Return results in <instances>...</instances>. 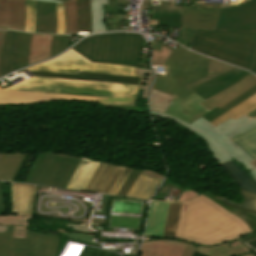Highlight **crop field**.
I'll use <instances>...</instances> for the list:
<instances>
[{"label": "crop field", "instance_id": "1", "mask_svg": "<svg viewBox=\"0 0 256 256\" xmlns=\"http://www.w3.org/2000/svg\"><path fill=\"white\" fill-rule=\"evenodd\" d=\"M28 69L35 76L0 88V105L54 100L94 101L110 108L134 105L142 81L137 68L92 63L72 49Z\"/></svg>", "mask_w": 256, "mask_h": 256}, {"label": "crop field", "instance_id": "2", "mask_svg": "<svg viewBox=\"0 0 256 256\" xmlns=\"http://www.w3.org/2000/svg\"><path fill=\"white\" fill-rule=\"evenodd\" d=\"M219 9L215 31L196 30L189 48L250 70L256 52V0H229Z\"/></svg>", "mask_w": 256, "mask_h": 256}, {"label": "crop field", "instance_id": "3", "mask_svg": "<svg viewBox=\"0 0 256 256\" xmlns=\"http://www.w3.org/2000/svg\"><path fill=\"white\" fill-rule=\"evenodd\" d=\"M233 68L179 46L164 65L166 76H157L153 88L174 95L166 113L191 124L209 111L190 89Z\"/></svg>", "mask_w": 256, "mask_h": 256}, {"label": "crop field", "instance_id": "4", "mask_svg": "<svg viewBox=\"0 0 256 256\" xmlns=\"http://www.w3.org/2000/svg\"><path fill=\"white\" fill-rule=\"evenodd\" d=\"M251 232L239 218L200 195L184 202L176 239L214 246Z\"/></svg>", "mask_w": 256, "mask_h": 256}, {"label": "crop field", "instance_id": "5", "mask_svg": "<svg viewBox=\"0 0 256 256\" xmlns=\"http://www.w3.org/2000/svg\"><path fill=\"white\" fill-rule=\"evenodd\" d=\"M152 115L166 117L181 126L189 129L207 144V147L218 163H223L234 159L240 162L247 169H252L249 162L253 160L247 153L239 147H234L229 139L239 133H244L256 126V118L251 120L247 116H242L237 120H228L225 123L215 127L202 117L193 124L189 125L170 115L161 114L152 111Z\"/></svg>", "mask_w": 256, "mask_h": 256}, {"label": "crop field", "instance_id": "6", "mask_svg": "<svg viewBox=\"0 0 256 256\" xmlns=\"http://www.w3.org/2000/svg\"><path fill=\"white\" fill-rule=\"evenodd\" d=\"M141 44L140 34L114 33L87 37L73 49L92 62L137 67Z\"/></svg>", "mask_w": 256, "mask_h": 256}, {"label": "crop field", "instance_id": "7", "mask_svg": "<svg viewBox=\"0 0 256 256\" xmlns=\"http://www.w3.org/2000/svg\"><path fill=\"white\" fill-rule=\"evenodd\" d=\"M82 157L43 152L39 155L26 182L66 188Z\"/></svg>", "mask_w": 256, "mask_h": 256}, {"label": "crop field", "instance_id": "8", "mask_svg": "<svg viewBox=\"0 0 256 256\" xmlns=\"http://www.w3.org/2000/svg\"><path fill=\"white\" fill-rule=\"evenodd\" d=\"M59 240L27 230V239H14V256H57Z\"/></svg>", "mask_w": 256, "mask_h": 256}, {"label": "crop field", "instance_id": "9", "mask_svg": "<svg viewBox=\"0 0 256 256\" xmlns=\"http://www.w3.org/2000/svg\"><path fill=\"white\" fill-rule=\"evenodd\" d=\"M102 5H107V0H78L79 31H110V28H105Z\"/></svg>", "mask_w": 256, "mask_h": 256}, {"label": "crop field", "instance_id": "10", "mask_svg": "<svg viewBox=\"0 0 256 256\" xmlns=\"http://www.w3.org/2000/svg\"><path fill=\"white\" fill-rule=\"evenodd\" d=\"M205 2H193V6L183 8V27L190 29L214 30L218 16V8L222 4H213V9H198V5Z\"/></svg>", "mask_w": 256, "mask_h": 256}, {"label": "crop field", "instance_id": "11", "mask_svg": "<svg viewBox=\"0 0 256 256\" xmlns=\"http://www.w3.org/2000/svg\"><path fill=\"white\" fill-rule=\"evenodd\" d=\"M25 0H0V28L24 31Z\"/></svg>", "mask_w": 256, "mask_h": 256}, {"label": "crop field", "instance_id": "12", "mask_svg": "<svg viewBox=\"0 0 256 256\" xmlns=\"http://www.w3.org/2000/svg\"><path fill=\"white\" fill-rule=\"evenodd\" d=\"M222 74L213 80H210L194 89H192L196 94L202 97L204 100L219 93L220 91L232 86L233 84L237 83L245 76H247L248 72L240 70L238 68Z\"/></svg>", "mask_w": 256, "mask_h": 256}, {"label": "crop field", "instance_id": "13", "mask_svg": "<svg viewBox=\"0 0 256 256\" xmlns=\"http://www.w3.org/2000/svg\"><path fill=\"white\" fill-rule=\"evenodd\" d=\"M196 252L207 256H254L247 246L241 244L238 240L215 247H196L189 244L184 256H194Z\"/></svg>", "mask_w": 256, "mask_h": 256}, {"label": "crop field", "instance_id": "14", "mask_svg": "<svg viewBox=\"0 0 256 256\" xmlns=\"http://www.w3.org/2000/svg\"><path fill=\"white\" fill-rule=\"evenodd\" d=\"M182 7L174 6V0L161 1L160 9L152 8V0L145 1L141 9H153L152 19L158 20L159 26L182 27Z\"/></svg>", "mask_w": 256, "mask_h": 256}, {"label": "crop field", "instance_id": "15", "mask_svg": "<svg viewBox=\"0 0 256 256\" xmlns=\"http://www.w3.org/2000/svg\"><path fill=\"white\" fill-rule=\"evenodd\" d=\"M256 76L250 74L237 84L233 85L229 89L205 100L204 102L200 103L204 107H206L208 110H212L216 106L223 107L239 95H241L243 92L251 88L256 84Z\"/></svg>", "mask_w": 256, "mask_h": 256}, {"label": "crop field", "instance_id": "16", "mask_svg": "<svg viewBox=\"0 0 256 256\" xmlns=\"http://www.w3.org/2000/svg\"><path fill=\"white\" fill-rule=\"evenodd\" d=\"M187 245V243L168 240L144 242L140 256H183Z\"/></svg>", "mask_w": 256, "mask_h": 256}, {"label": "crop field", "instance_id": "17", "mask_svg": "<svg viewBox=\"0 0 256 256\" xmlns=\"http://www.w3.org/2000/svg\"><path fill=\"white\" fill-rule=\"evenodd\" d=\"M37 187L12 183L14 213L32 214Z\"/></svg>", "mask_w": 256, "mask_h": 256}, {"label": "crop field", "instance_id": "18", "mask_svg": "<svg viewBox=\"0 0 256 256\" xmlns=\"http://www.w3.org/2000/svg\"><path fill=\"white\" fill-rule=\"evenodd\" d=\"M35 32L56 34V3L37 1Z\"/></svg>", "mask_w": 256, "mask_h": 256}, {"label": "crop field", "instance_id": "19", "mask_svg": "<svg viewBox=\"0 0 256 256\" xmlns=\"http://www.w3.org/2000/svg\"><path fill=\"white\" fill-rule=\"evenodd\" d=\"M20 34L21 33L14 31L7 32L0 63V73L2 76L13 70L21 68L16 67V54Z\"/></svg>", "mask_w": 256, "mask_h": 256}, {"label": "crop field", "instance_id": "20", "mask_svg": "<svg viewBox=\"0 0 256 256\" xmlns=\"http://www.w3.org/2000/svg\"><path fill=\"white\" fill-rule=\"evenodd\" d=\"M169 202H152L145 236L162 237Z\"/></svg>", "mask_w": 256, "mask_h": 256}, {"label": "crop field", "instance_id": "21", "mask_svg": "<svg viewBox=\"0 0 256 256\" xmlns=\"http://www.w3.org/2000/svg\"><path fill=\"white\" fill-rule=\"evenodd\" d=\"M203 195L207 196L208 198L214 200L216 203L221 205L223 208H225L230 213L238 216L240 219H242L249 228L253 231L250 234H247L240 238L243 242L256 239V211L250 210V209H243L238 208L230 204H226L218 199L215 198L216 194L212 192H206Z\"/></svg>", "mask_w": 256, "mask_h": 256}, {"label": "crop field", "instance_id": "22", "mask_svg": "<svg viewBox=\"0 0 256 256\" xmlns=\"http://www.w3.org/2000/svg\"><path fill=\"white\" fill-rule=\"evenodd\" d=\"M52 36L53 35H32L28 65L51 57Z\"/></svg>", "mask_w": 256, "mask_h": 256}, {"label": "crop field", "instance_id": "23", "mask_svg": "<svg viewBox=\"0 0 256 256\" xmlns=\"http://www.w3.org/2000/svg\"><path fill=\"white\" fill-rule=\"evenodd\" d=\"M144 171L145 170L141 172V174L134 182L127 197L150 200L151 196L162 182L161 180L142 175Z\"/></svg>", "mask_w": 256, "mask_h": 256}, {"label": "crop field", "instance_id": "24", "mask_svg": "<svg viewBox=\"0 0 256 256\" xmlns=\"http://www.w3.org/2000/svg\"><path fill=\"white\" fill-rule=\"evenodd\" d=\"M117 166L100 162L84 190L101 193Z\"/></svg>", "mask_w": 256, "mask_h": 256}, {"label": "crop field", "instance_id": "25", "mask_svg": "<svg viewBox=\"0 0 256 256\" xmlns=\"http://www.w3.org/2000/svg\"><path fill=\"white\" fill-rule=\"evenodd\" d=\"M98 162L82 158L67 188L83 190Z\"/></svg>", "mask_w": 256, "mask_h": 256}, {"label": "crop field", "instance_id": "26", "mask_svg": "<svg viewBox=\"0 0 256 256\" xmlns=\"http://www.w3.org/2000/svg\"><path fill=\"white\" fill-rule=\"evenodd\" d=\"M26 153H1L0 152V180L11 181L16 169Z\"/></svg>", "mask_w": 256, "mask_h": 256}, {"label": "crop field", "instance_id": "27", "mask_svg": "<svg viewBox=\"0 0 256 256\" xmlns=\"http://www.w3.org/2000/svg\"><path fill=\"white\" fill-rule=\"evenodd\" d=\"M222 166L226 169V171L230 174V176L235 180L240 189L252 191L256 193V182L248 176L244 170H242L239 165L230 161L227 163H223Z\"/></svg>", "mask_w": 256, "mask_h": 256}, {"label": "crop field", "instance_id": "28", "mask_svg": "<svg viewBox=\"0 0 256 256\" xmlns=\"http://www.w3.org/2000/svg\"><path fill=\"white\" fill-rule=\"evenodd\" d=\"M32 215L13 214L0 216V225H8L14 228L13 238H26L27 219Z\"/></svg>", "mask_w": 256, "mask_h": 256}, {"label": "crop field", "instance_id": "29", "mask_svg": "<svg viewBox=\"0 0 256 256\" xmlns=\"http://www.w3.org/2000/svg\"><path fill=\"white\" fill-rule=\"evenodd\" d=\"M254 108H256V94L246 99L245 101H243L242 103H240L239 105H237L236 107L229 110L228 112L221 115L220 117H218L210 123L216 126L230 118L235 120Z\"/></svg>", "mask_w": 256, "mask_h": 256}, {"label": "crop field", "instance_id": "30", "mask_svg": "<svg viewBox=\"0 0 256 256\" xmlns=\"http://www.w3.org/2000/svg\"><path fill=\"white\" fill-rule=\"evenodd\" d=\"M230 140L247 152L253 159L256 158V127Z\"/></svg>", "mask_w": 256, "mask_h": 256}, {"label": "crop field", "instance_id": "31", "mask_svg": "<svg viewBox=\"0 0 256 256\" xmlns=\"http://www.w3.org/2000/svg\"><path fill=\"white\" fill-rule=\"evenodd\" d=\"M65 5L66 34L78 32V6L77 0H67Z\"/></svg>", "mask_w": 256, "mask_h": 256}, {"label": "crop field", "instance_id": "32", "mask_svg": "<svg viewBox=\"0 0 256 256\" xmlns=\"http://www.w3.org/2000/svg\"><path fill=\"white\" fill-rule=\"evenodd\" d=\"M181 205L182 203L170 202L168 217H167L163 237H166V238L175 237L179 216H180Z\"/></svg>", "mask_w": 256, "mask_h": 256}, {"label": "crop field", "instance_id": "33", "mask_svg": "<svg viewBox=\"0 0 256 256\" xmlns=\"http://www.w3.org/2000/svg\"><path fill=\"white\" fill-rule=\"evenodd\" d=\"M255 93H256V85L254 87H252L251 89H249L248 91H246L245 93H243L241 96H239L235 100H233L232 102H230L229 104H227L226 106H224L223 108L219 109L216 107L214 110H212L210 113L204 115L203 117L210 122L213 119L220 116L221 114L228 111L229 109L233 108L234 106H236L237 104H239L240 102L245 100L246 98L254 95Z\"/></svg>", "mask_w": 256, "mask_h": 256}, {"label": "crop field", "instance_id": "34", "mask_svg": "<svg viewBox=\"0 0 256 256\" xmlns=\"http://www.w3.org/2000/svg\"><path fill=\"white\" fill-rule=\"evenodd\" d=\"M172 99L173 96L153 89L151 97L152 110L165 113Z\"/></svg>", "mask_w": 256, "mask_h": 256}, {"label": "crop field", "instance_id": "35", "mask_svg": "<svg viewBox=\"0 0 256 256\" xmlns=\"http://www.w3.org/2000/svg\"><path fill=\"white\" fill-rule=\"evenodd\" d=\"M32 34H25L22 33L19 48H18V54H17V66H27L28 63V49H29V43L31 39Z\"/></svg>", "mask_w": 256, "mask_h": 256}, {"label": "crop field", "instance_id": "36", "mask_svg": "<svg viewBox=\"0 0 256 256\" xmlns=\"http://www.w3.org/2000/svg\"><path fill=\"white\" fill-rule=\"evenodd\" d=\"M216 198H218L226 203L236 205L238 207H244V208H250V209L256 210V194L252 193V192L241 190L242 204L232 202V201L224 199L218 195Z\"/></svg>", "mask_w": 256, "mask_h": 256}, {"label": "crop field", "instance_id": "37", "mask_svg": "<svg viewBox=\"0 0 256 256\" xmlns=\"http://www.w3.org/2000/svg\"><path fill=\"white\" fill-rule=\"evenodd\" d=\"M12 228H7L6 233H0V256H13L12 250Z\"/></svg>", "mask_w": 256, "mask_h": 256}, {"label": "crop field", "instance_id": "38", "mask_svg": "<svg viewBox=\"0 0 256 256\" xmlns=\"http://www.w3.org/2000/svg\"><path fill=\"white\" fill-rule=\"evenodd\" d=\"M35 3L34 0H26V32H34L35 29Z\"/></svg>", "mask_w": 256, "mask_h": 256}, {"label": "crop field", "instance_id": "39", "mask_svg": "<svg viewBox=\"0 0 256 256\" xmlns=\"http://www.w3.org/2000/svg\"><path fill=\"white\" fill-rule=\"evenodd\" d=\"M69 47V36L54 35L52 41V57Z\"/></svg>", "mask_w": 256, "mask_h": 256}, {"label": "crop field", "instance_id": "40", "mask_svg": "<svg viewBox=\"0 0 256 256\" xmlns=\"http://www.w3.org/2000/svg\"><path fill=\"white\" fill-rule=\"evenodd\" d=\"M172 50L162 46L161 51H153L152 65L163 66Z\"/></svg>", "mask_w": 256, "mask_h": 256}, {"label": "crop field", "instance_id": "41", "mask_svg": "<svg viewBox=\"0 0 256 256\" xmlns=\"http://www.w3.org/2000/svg\"><path fill=\"white\" fill-rule=\"evenodd\" d=\"M141 171L142 170H136V169L132 170V172L130 173L129 177L127 178V180L125 181L124 185L122 186V188L120 189V191L118 192L117 195L126 197V195L129 192L134 180L136 179V177L139 175V173Z\"/></svg>", "mask_w": 256, "mask_h": 256}, {"label": "crop field", "instance_id": "42", "mask_svg": "<svg viewBox=\"0 0 256 256\" xmlns=\"http://www.w3.org/2000/svg\"><path fill=\"white\" fill-rule=\"evenodd\" d=\"M194 31L195 30L183 29L182 34L178 35L175 41L186 47H189Z\"/></svg>", "mask_w": 256, "mask_h": 256}, {"label": "crop field", "instance_id": "43", "mask_svg": "<svg viewBox=\"0 0 256 256\" xmlns=\"http://www.w3.org/2000/svg\"><path fill=\"white\" fill-rule=\"evenodd\" d=\"M132 169H128L126 168L124 170V172L122 173V175L119 177V179L116 181V183L114 184L110 194L112 195H116L117 192L119 191V189L121 188V186L123 185L124 181L126 180V178L128 177L129 173L131 172Z\"/></svg>", "mask_w": 256, "mask_h": 256}, {"label": "crop field", "instance_id": "44", "mask_svg": "<svg viewBox=\"0 0 256 256\" xmlns=\"http://www.w3.org/2000/svg\"><path fill=\"white\" fill-rule=\"evenodd\" d=\"M124 168L122 167H117L115 173L113 174L112 178L110 179L108 185L106 186V188L104 189L103 193L109 194L113 184L115 183V181L118 179V177L121 175L122 171Z\"/></svg>", "mask_w": 256, "mask_h": 256}, {"label": "crop field", "instance_id": "45", "mask_svg": "<svg viewBox=\"0 0 256 256\" xmlns=\"http://www.w3.org/2000/svg\"><path fill=\"white\" fill-rule=\"evenodd\" d=\"M57 21H65L64 6L60 3H57Z\"/></svg>", "mask_w": 256, "mask_h": 256}, {"label": "crop field", "instance_id": "46", "mask_svg": "<svg viewBox=\"0 0 256 256\" xmlns=\"http://www.w3.org/2000/svg\"><path fill=\"white\" fill-rule=\"evenodd\" d=\"M197 195H200V194L197 192H193V191H185L178 201H185V200L191 199Z\"/></svg>", "mask_w": 256, "mask_h": 256}, {"label": "crop field", "instance_id": "47", "mask_svg": "<svg viewBox=\"0 0 256 256\" xmlns=\"http://www.w3.org/2000/svg\"><path fill=\"white\" fill-rule=\"evenodd\" d=\"M116 108L125 110V111L148 113V111H143L140 109V107H136V106H125V107H116Z\"/></svg>", "mask_w": 256, "mask_h": 256}, {"label": "crop field", "instance_id": "48", "mask_svg": "<svg viewBox=\"0 0 256 256\" xmlns=\"http://www.w3.org/2000/svg\"><path fill=\"white\" fill-rule=\"evenodd\" d=\"M2 214H5V210H4L2 186H1V182H0V215H2Z\"/></svg>", "mask_w": 256, "mask_h": 256}, {"label": "crop field", "instance_id": "49", "mask_svg": "<svg viewBox=\"0 0 256 256\" xmlns=\"http://www.w3.org/2000/svg\"><path fill=\"white\" fill-rule=\"evenodd\" d=\"M57 34H65V22H57Z\"/></svg>", "mask_w": 256, "mask_h": 256}, {"label": "crop field", "instance_id": "50", "mask_svg": "<svg viewBox=\"0 0 256 256\" xmlns=\"http://www.w3.org/2000/svg\"><path fill=\"white\" fill-rule=\"evenodd\" d=\"M6 32L7 31H5V30H0V57H1V52H2V47H3ZM0 77H1V75H0Z\"/></svg>", "mask_w": 256, "mask_h": 256}, {"label": "crop field", "instance_id": "51", "mask_svg": "<svg viewBox=\"0 0 256 256\" xmlns=\"http://www.w3.org/2000/svg\"><path fill=\"white\" fill-rule=\"evenodd\" d=\"M144 175L154 177V178H158V179H162V180H164V178H165V176H162V175L157 174V173L149 172V171H145Z\"/></svg>", "mask_w": 256, "mask_h": 256}, {"label": "crop field", "instance_id": "52", "mask_svg": "<svg viewBox=\"0 0 256 256\" xmlns=\"http://www.w3.org/2000/svg\"><path fill=\"white\" fill-rule=\"evenodd\" d=\"M246 173L249 174L252 177V179H254L256 181V168H254Z\"/></svg>", "mask_w": 256, "mask_h": 256}, {"label": "crop field", "instance_id": "53", "mask_svg": "<svg viewBox=\"0 0 256 256\" xmlns=\"http://www.w3.org/2000/svg\"><path fill=\"white\" fill-rule=\"evenodd\" d=\"M247 115L248 117H250L251 119L256 117V109L250 111L249 113L245 114Z\"/></svg>", "mask_w": 256, "mask_h": 256}, {"label": "crop field", "instance_id": "54", "mask_svg": "<svg viewBox=\"0 0 256 256\" xmlns=\"http://www.w3.org/2000/svg\"><path fill=\"white\" fill-rule=\"evenodd\" d=\"M246 244H248L250 247H252L256 250V240L246 242Z\"/></svg>", "mask_w": 256, "mask_h": 256}, {"label": "crop field", "instance_id": "55", "mask_svg": "<svg viewBox=\"0 0 256 256\" xmlns=\"http://www.w3.org/2000/svg\"><path fill=\"white\" fill-rule=\"evenodd\" d=\"M28 154H29V153L26 154L25 158L28 156ZM25 158L23 159V161L25 160ZM23 161H22V163H23ZM22 163L20 164L19 168L17 169V171H16V173H15V175H14L12 181H14V179H15V177H16V175H17V173H18V171H19V169H20Z\"/></svg>", "mask_w": 256, "mask_h": 256}, {"label": "crop field", "instance_id": "56", "mask_svg": "<svg viewBox=\"0 0 256 256\" xmlns=\"http://www.w3.org/2000/svg\"><path fill=\"white\" fill-rule=\"evenodd\" d=\"M252 72L256 73V56H255V60H254V63H253V66H252Z\"/></svg>", "mask_w": 256, "mask_h": 256}, {"label": "crop field", "instance_id": "57", "mask_svg": "<svg viewBox=\"0 0 256 256\" xmlns=\"http://www.w3.org/2000/svg\"><path fill=\"white\" fill-rule=\"evenodd\" d=\"M6 228H7V226H0V232H5Z\"/></svg>", "mask_w": 256, "mask_h": 256}, {"label": "crop field", "instance_id": "58", "mask_svg": "<svg viewBox=\"0 0 256 256\" xmlns=\"http://www.w3.org/2000/svg\"><path fill=\"white\" fill-rule=\"evenodd\" d=\"M42 1H51V2H60V3H63V2L57 1V0H42Z\"/></svg>", "mask_w": 256, "mask_h": 256}, {"label": "crop field", "instance_id": "59", "mask_svg": "<svg viewBox=\"0 0 256 256\" xmlns=\"http://www.w3.org/2000/svg\"><path fill=\"white\" fill-rule=\"evenodd\" d=\"M152 239H155V238H152V237H145L144 240H152Z\"/></svg>", "mask_w": 256, "mask_h": 256}, {"label": "crop field", "instance_id": "60", "mask_svg": "<svg viewBox=\"0 0 256 256\" xmlns=\"http://www.w3.org/2000/svg\"><path fill=\"white\" fill-rule=\"evenodd\" d=\"M251 164H253L256 167V159L253 160L252 162H250Z\"/></svg>", "mask_w": 256, "mask_h": 256}, {"label": "crop field", "instance_id": "61", "mask_svg": "<svg viewBox=\"0 0 256 256\" xmlns=\"http://www.w3.org/2000/svg\"><path fill=\"white\" fill-rule=\"evenodd\" d=\"M62 1H65V0H62Z\"/></svg>", "mask_w": 256, "mask_h": 256}]
</instances>
